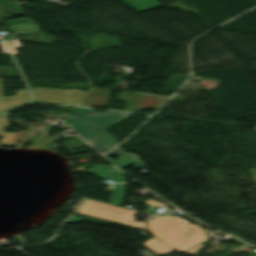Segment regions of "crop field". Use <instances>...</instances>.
<instances>
[{"mask_svg":"<svg viewBox=\"0 0 256 256\" xmlns=\"http://www.w3.org/2000/svg\"><path fill=\"white\" fill-rule=\"evenodd\" d=\"M93 110L77 108V111L67 116L72 119V129L96 150L104 153L119 144L115 141V137L104 130L131 117V114L113 111L101 113Z\"/></svg>","mask_w":256,"mask_h":256,"instance_id":"1","label":"crop field"},{"mask_svg":"<svg viewBox=\"0 0 256 256\" xmlns=\"http://www.w3.org/2000/svg\"><path fill=\"white\" fill-rule=\"evenodd\" d=\"M147 226L151 234L180 252L209 238L204 228L176 216H158Z\"/></svg>","mask_w":256,"mask_h":256,"instance_id":"2","label":"crop field"},{"mask_svg":"<svg viewBox=\"0 0 256 256\" xmlns=\"http://www.w3.org/2000/svg\"><path fill=\"white\" fill-rule=\"evenodd\" d=\"M136 212L89 199H85L77 210L80 215L101 218L147 231L144 223L134 221Z\"/></svg>","mask_w":256,"mask_h":256,"instance_id":"3","label":"crop field"},{"mask_svg":"<svg viewBox=\"0 0 256 256\" xmlns=\"http://www.w3.org/2000/svg\"><path fill=\"white\" fill-rule=\"evenodd\" d=\"M32 100L82 106L86 92L74 89H51L35 87L30 90Z\"/></svg>","mask_w":256,"mask_h":256,"instance_id":"4","label":"crop field"},{"mask_svg":"<svg viewBox=\"0 0 256 256\" xmlns=\"http://www.w3.org/2000/svg\"><path fill=\"white\" fill-rule=\"evenodd\" d=\"M128 103L127 112L136 111L138 109L144 108H155L159 109L162 104L167 100L165 97L146 95V94H136L132 92H121L118 99Z\"/></svg>","mask_w":256,"mask_h":256,"instance_id":"5","label":"crop field"},{"mask_svg":"<svg viewBox=\"0 0 256 256\" xmlns=\"http://www.w3.org/2000/svg\"><path fill=\"white\" fill-rule=\"evenodd\" d=\"M28 103L27 90H20L16 96L3 98L2 83L0 79V113H6L15 107Z\"/></svg>","mask_w":256,"mask_h":256,"instance_id":"6","label":"crop field"},{"mask_svg":"<svg viewBox=\"0 0 256 256\" xmlns=\"http://www.w3.org/2000/svg\"><path fill=\"white\" fill-rule=\"evenodd\" d=\"M82 173L97 175L101 179H109L124 182L123 174L107 166L96 165Z\"/></svg>","mask_w":256,"mask_h":256,"instance_id":"7","label":"crop field"},{"mask_svg":"<svg viewBox=\"0 0 256 256\" xmlns=\"http://www.w3.org/2000/svg\"><path fill=\"white\" fill-rule=\"evenodd\" d=\"M111 91L112 90L93 88L88 96L87 106L96 107L107 105L109 103Z\"/></svg>","mask_w":256,"mask_h":256,"instance_id":"8","label":"crop field"},{"mask_svg":"<svg viewBox=\"0 0 256 256\" xmlns=\"http://www.w3.org/2000/svg\"><path fill=\"white\" fill-rule=\"evenodd\" d=\"M138 156L132 154V153H126L122 156H120V160H113V159H110V158H107L113 165H115L117 168H119L120 170L126 168V167H129L133 164L134 165V168L137 169V168H141V167H144V164L141 160H139L137 158ZM138 170V169H137Z\"/></svg>","mask_w":256,"mask_h":256,"instance_id":"9","label":"crop field"},{"mask_svg":"<svg viewBox=\"0 0 256 256\" xmlns=\"http://www.w3.org/2000/svg\"><path fill=\"white\" fill-rule=\"evenodd\" d=\"M9 125L7 115H0V136H3L0 140V144L14 145L17 143L20 133H7L3 132L5 126Z\"/></svg>","mask_w":256,"mask_h":256,"instance_id":"10","label":"crop field"},{"mask_svg":"<svg viewBox=\"0 0 256 256\" xmlns=\"http://www.w3.org/2000/svg\"><path fill=\"white\" fill-rule=\"evenodd\" d=\"M123 1L138 12L163 6L157 0H123Z\"/></svg>","mask_w":256,"mask_h":256,"instance_id":"11","label":"crop field"},{"mask_svg":"<svg viewBox=\"0 0 256 256\" xmlns=\"http://www.w3.org/2000/svg\"><path fill=\"white\" fill-rule=\"evenodd\" d=\"M143 246H145L149 250L153 251L158 256H166V255L174 252L172 249L165 246L164 244H162L161 242L157 241L154 238L143 243Z\"/></svg>","mask_w":256,"mask_h":256,"instance_id":"12","label":"crop field"},{"mask_svg":"<svg viewBox=\"0 0 256 256\" xmlns=\"http://www.w3.org/2000/svg\"><path fill=\"white\" fill-rule=\"evenodd\" d=\"M117 185L114 186V189H113V192H112L109 203L121 206L122 203H123V197H124L126 184L120 185L118 191H116Z\"/></svg>","mask_w":256,"mask_h":256,"instance_id":"13","label":"crop field"},{"mask_svg":"<svg viewBox=\"0 0 256 256\" xmlns=\"http://www.w3.org/2000/svg\"><path fill=\"white\" fill-rule=\"evenodd\" d=\"M80 221H86V222H94V223H100V224H105V225H109V226H114L112 224L109 223H105V222H101V221H96V220H92V219H88V218H84V217H80V216H76L73 215L66 224H71V223H78Z\"/></svg>","mask_w":256,"mask_h":256,"instance_id":"14","label":"crop field"},{"mask_svg":"<svg viewBox=\"0 0 256 256\" xmlns=\"http://www.w3.org/2000/svg\"><path fill=\"white\" fill-rule=\"evenodd\" d=\"M144 203L154 207V208H162V207H170L164 203H161V202H158V201H155V200H151V201H145Z\"/></svg>","mask_w":256,"mask_h":256,"instance_id":"15","label":"crop field"},{"mask_svg":"<svg viewBox=\"0 0 256 256\" xmlns=\"http://www.w3.org/2000/svg\"><path fill=\"white\" fill-rule=\"evenodd\" d=\"M203 245H204V244H201V245H199V246H197V247H194V248H192V249H190V250H187V251H185V252H183V253H186V254H190V255L195 256L196 253H197V251H199V250L202 248Z\"/></svg>","mask_w":256,"mask_h":256,"instance_id":"16","label":"crop field"},{"mask_svg":"<svg viewBox=\"0 0 256 256\" xmlns=\"http://www.w3.org/2000/svg\"><path fill=\"white\" fill-rule=\"evenodd\" d=\"M124 151H125V150H123V149H121V148L118 147L116 150H114V151L108 153V154L106 155V157H109V156H118V155L124 153Z\"/></svg>","mask_w":256,"mask_h":256,"instance_id":"17","label":"crop field"},{"mask_svg":"<svg viewBox=\"0 0 256 256\" xmlns=\"http://www.w3.org/2000/svg\"><path fill=\"white\" fill-rule=\"evenodd\" d=\"M149 256H157V255H155V254L153 253V254H151V255H149Z\"/></svg>","mask_w":256,"mask_h":256,"instance_id":"18","label":"crop field"}]
</instances>
